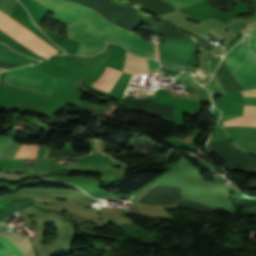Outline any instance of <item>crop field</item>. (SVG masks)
Here are the masks:
<instances>
[{"instance_id":"1","label":"crop field","mask_w":256,"mask_h":256,"mask_svg":"<svg viewBox=\"0 0 256 256\" xmlns=\"http://www.w3.org/2000/svg\"><path fill=\"white\" fill-rule=\"evenodd\" d=\"M54 15L52 20L67 26L68 37L81 42L76 54L92 55L102 51L106 42H118L132 53L155 58L154 43L149 42L134 31L129 32L109 23L100 14L67 0H46L69 9L59 7L43 0H34ZM179 9L200 0H163ZM51 19V18H50ZM128 50V51H129ZM158 57V50L156 45ZM159 58V57H158Z\"/></svg>"},{"instance_id":"2","label":"crop field","mask_w":256,"mask_h":256,"mask_svg":"<svg viewBox=\"0 0 256 256\" xmlns=\"http://www.w3.org/2000/svg\"><path fill=\"white\" fill-rule=\"evenodd\" d=\"M16 2H17L16 0H0V3L7 6L10 9L14 8ZM2 4H0V29L1 30L8 33L19 43L29 47L36 53L46 58L51 54L57 52L48 44H46L44 41H42L40 38H38L33 33L28 31L26 28L21 26L12 18H10L9 16L12 10L8 9Z\"/></svg>"},{"instance_id":"3","label":"crop field","mask_w":256,"mask_h":256,"mask_svg":"<svg viewBox=\"0 0 256 256\" xmlns=\"http://www.w3.org/2000/svg\"><path fill=\"white\" fill-rule=\"evenodd\" d=\"M248 37L249 35H245V38L223 58L243 89L256 87V58L248 49Z\"/></svg>"},{"instance_id":"4","label":"crop field","mask_w":256,"mask_h":256,"mask_svg":"<svg viewBox=\"0 0 256 256\" xmlns=\"http://www.w3.org/2000/svg\"><path fill=\"white\" fill-rule=\"evenodd\" d=\"M4 81L30 87L51 95L57 79L20 67L10 70Z\"/></svg>"},{"instance_id":"5","label":"crop field","mask_w":256,"mask_h":256,"mask_svg":"<svg viewBox=\"0 0 256 256\" xmlns=\"http://www.w3.org/2000/svg\"><path fill=\"white\" fill-rule=\"evenodd\" d=\"M21 234V233H20ZM18 233L0 235L2 256H35L32 247Z\"/></svg>"},{"instance_id":"6","label":"crop field","mask_w":256,"mask_h":256,"mask_svg":"<svg viewBox=\"0 0 256 256\" xmlns=\"http://www.w3.org/2000/svg\"><path fill=\"white\" fill-rule=\"evenodd\" d=\"M124 72L132 74H146L148 71L147 59L138 58L127 53Z\"/></svg>"},{"instance_id":"7","label":"crop field","mask_w":256,"mask_h":256,"mask_svg":"<svg viewBox=\"0 0 256 256\" xmlns=\"http://www.w3.org/2000/svg\"><path fill=\"white\" fill-rule=\"evenodd\" d=\"M12 201H8V200H1L0 201V210L2 208H4L5 206H7L9 203H11ZM35 202H33L30 198H25V199H20L17 201H13L11 204H9L7 207H5L4 209H2L0 211V221H2L5 217H8L10 215H12L11 213L19 210V209H24L25 207L34 204Z\"/></svg>"},{"instance_id":"8","label":"crop field","mask_w":256,"mask_h":256,"mask_svg":"<svg viewBox=\"0 0 256 256\" xmlns=\"http://www.w3.org/2000/svg\"><path fill=\"white\" fill-rule=\"evenodd\" d=\"M120 72L106 67L102 75L94 82L90 83L89 86L96 87L108 92Z\"/></svg>"},{"instance_id":"9","label":"crop field","mask_w":256,"mask_h":256,"mask_svg":"<svg viewBox=\"0 0 256 256\" xmlns=\"http://www.w3.org/2000/svg\"><path fill=\"white\" fill-rule=\"evenodd\" d=\"M222 126H256V117H238L222 122Z\"/></svg>"},{"instance_id":"10","label":"crop field","mask_w":256,"mask_h":256,"mask_svg":"<svg viewBox=\"0 0 256 256\" xmlns=\"http://www.w3.org/2000/svg\"><path fill=\"white\" fill-rule=\"evenodd\" d=\"M39 146L34 145H23L21 144L19 150L17 151L15 157H30L35 158Z\"/></svg>"},{"instance_id":"11","label":"crop field","mask_w":256,"mask_h":256,"mask_svg":"<svg viewBox=\"0 0 256 256\" xmlns=\"http://www.w3.org/2000/svg\"><path fill=\"white\" fill-rule=\"evenodd\" d=\"M256 22V20L248 23L247 27L245 28V32L247 30V28L249 27L250 24ZM244 32V33H245ZM247 32H249L251 34V38H250V41H249V44H250V48L251 50L254 52L255 56H256V23L250 25L249 29L247 30ZM246 32V33H247Z\"/></svg>"},{"instance_id":"12","label":"crop field","mask_w":256,"mask_h":256,"mask_svg":"<svg viewBox=\"0 0 256 256\" xmlns=\"http://www.w3.org/2000/svg\"><path fill=\"white\" fill-rule=\"evenodd\" d=\"M23 159L0 160V168H22Z\"/></svg>"},{"instance_id":"13","label":"crop field","mask_w":256,"mask_h":256,"mask_svg":"<svg viewBox=\"0 0 256 256\" xmlns=\"http://www.w3.org/2000/svg\"><path fill=\"white\" fill-rule=\"evenodd\" d=\"M149 69H160V64L154 59H148ZM150 71H160V70H150Z\"/></svg>"},{"instance_id":"14","label":"crop field","mask_w":256,"mask_h":256,"mask_svg":"<svg viewBox=\"0 0 256 256\" xmlns=\"http://www.w3.org/2000/svg\"><path fill=\"white\" fill-rule=\"evenodd\" d=\"M243 95H256V89H251L247 91H242Z\"/></svg>"},{"instance_id":"15","label":"crop field","mask_w":256,"mask_h":256,"mask_svg":"<svg viewBox=\"0 0 256 256\" xmlns=\"http://www.w3.org/2000/svg\"><path fill=\"white\" fill-rule=\"evenodd\" d=\"M32 208L37 209V210H40V211H42V212H49V211H47V210L42 209L41 207H39V206H37V205L33 206Z\"/></svg>"},{"instance_id":"16","label":"crop field","mask_w":256,"mask_h":256,"mask_svg":"<svg viewBox=\"0 0 256 256\" xmlns=\"http://www.w3.org/2000/svg\"><path fill=\"white\" fill-rule=\"evenodd\" d=\"M95 141H96L97 151H98V153H99L97 140L95 139Z\"/></svg>"},{"instance_id":"17","label":"crop field","mask_w":256,"mask_h":256,"mask_svg":"<svg viewBox=\"0 0 256 256\" xmlns=\"http://www.w3.org/2000/svg\"><path fill=\"white\" fill-rule=\"evenodd\" d=\"M154 190V189H153ZM152 191V190H151ZM150 192V191H149ZM147 194V193H146ZM145 195V194H144Z\"/></svg>"},{"instance_id":"18","label":"crop field","mask_w":256,"mask_h":256,"mask_svg":"<svg viewBox=\"0 0 256 256\" xmlns=\"http://www.w3.org/2000/svg\"><path fill=\"white\" fill-rule=\"evenodd\" d=\"M4 70V69H3Z\"/></svg>"}]
</instances>
